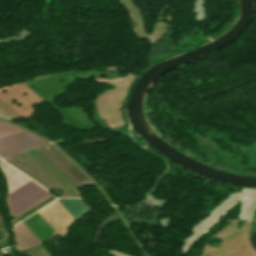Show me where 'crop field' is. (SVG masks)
Returning a JSON list of instances; mask_svg holds the SVG:
<instances>
[{"label": "crop field", "instance_id": "ac0d7876", "mask_svg": "<svg viewBox=\"0 0 256 256\" xmlns=\"http://www.w3.org/2000/svg\"><path fill=\"white\" fill-rule=\"evenodd\" d=\"M48 195L45 189L31 181L9 194V197L12 209L19 214Z\"/></svg>", "mask_w": 256, "mask_h": 256}, {"label": "crop field", "instance_id": "3316defc", "mask_svg": "<svg viewBox=\"0 0 256 256\" xmlns=\"http://www.w3.org/2000/svg\"><path fill=\"white\" fill-rule=\"evenodd\" d=\"M4 219H3V216H2V214L0 213V221H3Z\"/></svg>", "mask_w": 256, "mask_h": 256}, {"label": "crop field", "instance_id": "f4fd0767", "mask_svg": "<svg viewBox=\"0 0 256 256\" xmlns=\"http://www.w3.org/2000/svg\"><path fill=\"white\" fill-rule=\"evenodd\" d=\"M44 148L54 156L72 175H74L83 185L90 184L91 182L88 178L75 167L66 157H64L60 152H58L51 145L44 146Z\"/></svg>", "mask_w": 256, "mask_h": 256}, {"label": "crop field", "instance_id": "d8731c3e", "mask_svg": "<svg viewBox=\"0 0 256 256\" xmlns=\"http://www.w3.org/2000/svg\"><path fill=\"white\" fill-rule=\"evenodd\" d=\"M22 131L14 126L0 122V137Z\"/></svg>", "mask_w": 256, "mask_h": 256}, {"label": "crop field", "instance_id": "8a807250", "mask_svg": "<svg viewBox=\"0 0 256 256\" xmlns=\"http://www.w3.org/2000/svg\"><path fill=\"white\" fill-rule=\"evenodd\" d=\"M7 162L38 181L48 190L61 189V197L73 196L66 190L53 176H51L37 161H35L27 152L5 158Z\"/></svg>", "mask_w": 256, "mask_h": 256}, {"label": "crop field", "instance_id": "dd49c442", "mask_svg": "<svg viewBox=\"0 0 256 256\" xmlns=\"http://www.w3.org/2000/svg\"><path fill=\"white\" fill-rule=\"evenodd\" d=\"M54 167H56L68 180L76 187L83 186L75 177H73L54 157H52L43 147L36 148ZM69 181V182H70Z\"/></svg>", "mask_w": 256, "mask_h": 256}, {"label": "crop field", "instance_id": "e52e79f7", "mask_svg": "<svg viewBox=\"0 0 256 256\" xmlns=\"http://www.w3.org/2000/svg\"><path fill=\"white\" fill-rule=\"evenodd\" d=\"M58 201L75 219L88 208L80 199H58Z\"/></svg>", "mask_w": 256, "mask_h": 256}, {"label": "crop field", "instance_id": "412701ff", "mask_svg": "<svg viewBox=\"0 0 256 256\" xmlns=\"http://www.w3.org/2000/svg\"><path fill=\"white\" fill-rule=\"evenodd\" d=\"M14 232L17 247L20 251L41 243L23 222L14 227Z\"/></svg>", "mask_w": 256, "mask_h": 256}, {"label": "crop field", "instance_id": "5a996713", "mask_svg": "<svg viewBox=\"0 0 256 256\" xmlns=\"http://www.w3.org/2000/svg\"><path fill=\"white\" fill-rule=\"evenodd\" d=\"M8 236H9V234H8L7 228L3 229V230H0V239L8 237Z\"/></svg>", "mask_w": 256, "mask_h": 256}, {"label": "crop field", "instance_id": "34b2d1b8", "mask_svg": "<svg viewBox=\"0 0 256 256\" xmlns=\"http://www.w3.org/2000/svg\"><path fill=\"white\" fill-rule=\"evenodd\" d=\"M44 143L46 142L25 131L12 134L0 138V157L24 151Z\"/></svg>", "mask_w": 256, "mask_h": 256}]
</instances>
